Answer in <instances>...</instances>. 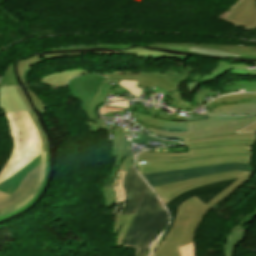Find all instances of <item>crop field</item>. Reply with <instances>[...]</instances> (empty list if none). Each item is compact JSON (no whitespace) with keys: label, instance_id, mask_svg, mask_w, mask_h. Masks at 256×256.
<instances>
[{"label":"crop field","instance_id":"obj_19","mask_svg":"<svg viewBox=\"0 0 256 256\" xmlns=\"http://www.w3.org/2000/svg\"><path fill=\"white\" fill-rule=\"evenodd\" d=\"M108 79H133L139 80V85L145 87H153L154 85L166 90L171 91L177 87L173 86L172 84L168 83L167 81L163 80L158 76H148V75H103Z\"/></svg>","mask_w":256,"mask_h":256},{"label":"crop field","instance_id":"obj_39","mask_svg":"<svg viewBox=\"0 0 256 256\" xmlns=\"http://www.w3.org/2000/svg\"><path fill=\"white\" fill-rule=\"evenodd\" d=\"M147 140L166 142V143H170V144H179L178 142H167V141H164V140H157L153 137H149V136H145V135H144L143 139H134V142L147 143Z\"/></svg>","mask_w":256,"mask_h":256},{"label":"crop field","instance_id":"obj_43","mask_svg":"<svg viewBox=\"0 0 256 256\" xmlns=\"http://www.w3.org/2000/svg\"><path fill=\"white\" fill-rule=\"evenodd\" d=\"M16 88H17V90H18V92H19V94H20V96H21L22 100H23V101H24V103L26 104V106H27L28 110H31L30 105H29V103H28V101H27L26 97L24 96V94H23V92H22L21 88H20L18 85L16 86Z\"/></svg>","mask_w":256,"mask_h":256},{"label":"crop field","instance_id":"obj_26","mask_svg":"<svg viewBox=\"0 0 256 256\" xmlns=\"http://www.w3.org/2000/svg\"><path fill=\"white\" fill-rule=\"evenodd\" d=\"M199 116L200 117H197V118L183 119V118L168 117V116H165V115L159 113L158 118L167 119V120L186 121L187 122V127H188V121L201 120V119H205V118L235 120V119L244 118V117H251V116H214V115H199ZM139 125H141L142 127H144L145 129H147L150 132L154 129L166 130V129H160V128H156V127H152V126H148V125H143V124H139ZM167 131L187 132V130H167Z\"/></svg>","mask_w":256,"mask_h":256},{"label":"crop field","instance_id":"obj_21","mask_svg":"<svg viewBox=\"0 0 256 256\" xmlns=\"http://www.w3.org/2000/svg\"><path fill=\"white\" fill-rule=\"evenodd\" d=\"M40 161V155H38L34 160H32L26 167H24L20 172L0 184V191L11 195L16 189L21 180L38 165ZM20 185V184H19Z\"/></svg>","mask_w":256,"mask_h":256},{"label":"crop field","instance_id":"obj_12","mask_svg":"<svg viewBox=\"0 0 256 256\" xmlns=\"http://www.w3.org/2000/svg\"><path fill=\"white\" fill-rule=\"evenodd\" d=\"M105 78L99 75H83L72 79L67 87L72 98H79L83 111H87L89 103L96 95L101 82Z\"/></svg>","mask_w":256,"mask_h":256},{"label":"crop field","instance_id":"obj_40","mask_svg":"<svg viewBox=\"0 0 256 256\" xmlns=\"http://www.w3.org/2000/svg\"><path fill=\"white\" fill-rule=\"evenodd\" d=\"M241 1L242 0H238L227 12H225L222 15L218 16V18L221 19V20H225L230 15V13L238 6V4Z\"/></svg>","mask_w":256,"mask_h":256},{"label":"crop field","instance_id":"obj_37","mask_svg":"<svg viewBox=\"0 0 256 256\" xmlns=\"http://www.w3.org/2000/svg\"><path fill=\"white\" fill-rule=\"evenodd\" d=\"M181 252V256H194V245L193 243L184 246L179 249Z\"/></svg>","mask_w":256,"mask_h":256},{"label":"crop field","instance_id":"obj_3","mask_svg":"<svg viewBox=\"0 0 256 256\" xmlns=\"http://www.w3.org/2000/svg\"><path fill=\"white\" fill-rule=\"evenodd\" d=\"M15 143L12 154L0 172V183L16 174L41 151L40 136L27 112L6 114Z\"/></svg>","mask_w":256,"mask_h":256},{"label":"crop field","instance_id":"obj_5","mask_svg":"<svg viewBox=\"0 0 256 256\" xmlns=\"http://www.w3.org/2000/svg\"><path fill=\"white\" fill-rule=\"evenodd\" d=\"M250 175H251V172H244V171L224 172V173L197 178L193 180L171 183V184L155 187L154 189L159 194V196L161 197L162 201L165 204L171 201L172 199H174L179 194L189 191L191 189L200 187L205 184L228 180V179H234L238 177V179L234 183H232L230 186H228L226 189H224L222 192H220L218 195H216L212 200H210L206 204L207 206L212 208L215 204H217L220 200L226 197L229 193L233 192L242 184H244L249 179Z\"/></svg>","mask_w":256,"mask_h":256},{"label":"crop field","instance_id":"obj_34","mask_svg":"<svg viewBox=\"0 0 256 256\" xmlns=\"http://www.w3.org/2000/svg\"><path fill=\"white\" fill-rule=\"evenodd\" d=\"M253 143L254 142H249V141H232V142L192 145V146H185V147H187V149H193V148H203V147H212V146H223V145H230V144H249V145H253Z\"/></svg>","mask_w":256,"mask_h":256},{"label":"crop field","instance_id":"obj_45","mask_svg":"<svg viewBox=\"0 0 256 256\" xmlns=\"http://www.w3.org/2000/svg\"><path fill=\"white\" fill-rule=\"evenodd\" d=\"M199 83L198 82H192V83H187L188 86V90L191 92L192 90L195 89L196 86H198Z\"/></svg>","mask_w":256,"mask_h":256},{"label":"crop field","instance_id":"obj_33","mask_svg":"<svg viewBox=\"0 0 256 256\" xmlns=\"http://www.w3.org/2000/svg\"><path fill=\"white\" fill-rule=\"evenodd\" d=\"M16 79L13 74V65L10 64L8 66V70L4 74L3 78L0 81V86H8V85H16Z\"/></svg>","mask_w":256,"mask_h":256},{"label":"crop field","instance_id":"obj_2","mask_svg":"<svg viewBox=\"0 0 256 256\" xmlns=\"http://www.w3.org/2000/svg\"><path fill=\"white\" fill-rule=\"evenodd\" d=\"M123 188L126 190L127 202L121 215L136 213L124 240L145 230V228L164 209L149 187L135 173L133 166L128 170Z\"/></svg>","mask_w":256,"mask_h":256},{"label":"crop field","instance_id":"obj_32","mask_svg":"<svg viewBox=\"0 0 256 256\" xmlns=\"http://www.w3.org/2000/svg\"><path fill=\"white\" fill-rule=\"evenodd\" d=\"M189 52L196 53V54L219 55V56H236V57L240 56L238 54H232V53H227V52L213 50V49L191 48Z\"/></svg>","mask_w":256,"mask_h":256},{"label":"crop field","instance_id":"obj_15","mask_svg":"<svg viewBox=\"0 0 256 256\" xmlns=\"http://www.w3.org/2000/svg\"><path fill=\"white\" fill-rule=\"evenodd\" d=\"M118 51L113 52H91V53H72V54H50V55H39L35 57L26 58L23 60H19L17 64V71L20 75L21 81L24 83V72L26 69L30 70V65H35L38 62L47 60V59H55V58H61V57H74L79 56L82 54H101V55H117ZM25 85V83H24ZM26 86V85H25ZM27 87V86H26ZM28 89V88H27ZM30 96L35 104V107L41 111H44V109L47 107L45 103H43L32 91L28 89Z\"/></svg>","mask_w":256,"mask_h":256},{"label":"crop field","instance_id":"obj_47","mask_svg":"<svg viewBox=\"0 0 256 256\" xmlns=\"http://www.w3.org/2000/svg\"><path fill=\"white\" fill-rule=\"evenodd\" d=\"M160 238V237H159ZM159 238L155 241V243L153 244L152 248H151V252H150V256H152V250L154 249L155 245L157 244Z\"/></svg>","mask_w":256,"mask_h":256},{"label":"crop field","instance_id":"obj_22","mask_svg":"<svg viewBox=\"0 0 256 256\" xmlns=\"http://www.w3.org/2000/svg\"><path fill=\"white\" fill-rule=\"evenodd\" d=\"M170 93L172 94V95H170V97H173L174 99L172 100L169 107L175 108V109H181L183 111H189V110L196 109V108L202 106L203 104H205L204 102H202L200 100L201 98L205 97L206 95H208L210 93L217 94L213 90H201L199 93L195 94L194 98H193V100L198 102V105L195 106V107H191V103L186 102V101H182V98H181V96L178 92V89H175Z\"/></svg>","mask_w":256,"mask_h":256},{"label":"crop field","instance_id":"obj_18","mask_svg":"<svg viewBox=\"0 0 256 256\" xmlns=\"http://www.w3.org/2000/svg\"><path fill=\"white\" fill-rule=\"evenodd\" d=\"M0 108L4 112L27 110L14 86L0 88Z\"/></svg>","mask_w":256,"mask_h":256},{"label":"crop field","instance_id":"obj_10","mask_svg":"<svg viewBox=\"0 0 256 256\" xmlns=\"http://www.w3.org/2000/svg\"><path fill=\"white\" fill-rule=\"evenodd\" d=\"M236 161H241L249 164L250 155L248 154L222 155L217 157L189 159V161L177 162V163H147V165H139L141 169L139 173L145 179L142 173L166 171V170H172V169H178V168L201 166V165H208V164H218V163H225V162H236Z\"/></svg>","mask_w":256,"mask_h":256},{"label":"crop field","instance_id":"obj_9","mask_svg":"<svg viewBox=\"0 0 256 256\" xmlns=\"http://www.w3.org/2000/svg\"><path fill=\"white\" fill-rule=\"evenodd\" d=\"M246 96V98H245ZM217 107L209 114L256 115V94H238L218 98L206 107Z\"/></svg>","mask_w":256,"mask_h":256},{"label":"crop field","instance_id":"obj_7","mask_svg":"<svg viewBox=\"0 0 256 256\" xmlns=\"http://www.w3.org/2000/svg\"><path fill=\"white\" fill-rule=\"evenodd\" d=\"M230 170L253 171V169L249 165L241 162H236V163H225V164H218V165H208V166H202V167L178 169V170L158 172V173H148V174H144V176L150 182L151 186L154 187V186H158L166 183L193 179L197 177H202V176L220 173L224 171H230Z\"/></svg>","mask_w":256,"mask_h":256},{"label":"crop field","instance_id":"obj_13","mask_svg":"<svg viewBox=\"0 0 256 256\" xmlns=\"http://www.w3.org/2000/svg\"><path fill=\"white\" fill-rule=\"evenodd\" d=\"M235 180L236 179L202 186L200 188H197V189L191 190L189 192H186V193L178 196L177 198H175L174 200H172L168 204H166L169 211L171 212L172 220H171V224L169 226V229L164 233L162 240L165 238L166 234L169 232V230L171 229V227L174 223L178 207L185 200H187L190 197L196 196L197 198H199L202 202H204L206 204L216 194H218L220 191H222L224 188H226L228 185H230Z\"/></svg>","mask_w":256,"mask_h":256},{"label":"crop field","instance_id":"obj_46","mask_svg":"<svg viewBox=\"0 0 256 256\" xmlns=\"http://www.w3.org/2000/svg\"><path fill=\"white\" fill-rule=\"evenodd\" d=\"M242 28L256 30V19H255V22L253 24H251L247 27H242Z\"/></svg>","mask_w":256,"mask_h":256},{"label":"crop field","instance_id":"obj_20","mask_svg":"<svg viewBox=\"0 0 256 256\" xmlns=\"http://www.w3.org/2000/svg\"><path fill=\"white\" fill-rule=\"evenodd\" d=\"M140 57H156V58H179L182 61V73H180L179 75L177 74L178 71H176L175 73L171 70L169 71H165V72H161V73H140V74H148V75H158L160 77H162L163 79L167 80L168 82L172 83L175 86H179L181 84L182 81H186L187 77H188V73L191 71H195V70H200V69H204V67L199 68V69H191L190 66L188 68H186V70H183V62L185 60V56H140Z\"/></svg>","mask_w":256,"mask_h":256},{"label":"crop field","instance_id":"obj_41","mask_svg":"<svg viewBox=\"0 0 256 256\" xmlns=\"http://www.w3.org/2000/svg\"><path fill=\"white\" fill-rule=\"evenodd\" d=\"M255 217H256V210L244 218V220L241 222V227L244 228V225L247 223H250Z\"/></svg>","mask_w":256,"mask_h":256},{"label":"crop field","instance_id":"obj_1","mask_svg":"<svg viewBox=\"0 0 256 256\" xmlns=\"http://www.w3.org/2000/svg\"><path fill=\"white\" fill-rule=\"evenodd\" d=\"M256 121V117L244 118L235 121L205 119L189 122L188 133H172L154 130L152 134L162 137L184 141L185 145L222 142L231 140L255 141L254 133H235L250 123Z\"/></svg>","mask_w":256,"mask_h":256},{"label":"crop field","instance_id":"obj_29","mask_svg":"<svg viewBox=\"0 0 256 256\" xmlns=\"http://www.w3.org/2000/svg\"><path fill=\"white\" fill-rule=\"evenodd\" d=\"M135 214L132 215H124V216H115V229L114 234H116L117 230L120 229L117 235V246H122L123 238L125 233L133 219Z\"/></svg>","mask_w":256,"mask_h":256},{"label":"crop field","instance_id":"obj_30","mask_svg":"<svg viewBox=\"0 0 256 256\" xmlns=\"http://www.w3.org/2000/svg\"><path fill=\"white\" fill-rule=\"evenodd\" d=\"M237 89H245L246 92H256V83H233L225 85L224 92L233 91Z\"/></svg>","mask_w":256,"mask_h":256},{"label":"crop field","instance_id":"obj_11","mask_svg":"<svg viewBox=\"0 0 256 256\" xmlns=\"http://www.w3.org/2000/svg\"><path fill=\"white\" fill-rule=\"evenodd\" d=\"M152 47H160L165 49L181 50L188 52L190 47H201V48H214L227 52L241 54L240 57L247 59H256V51H253V47L244 46H226V45H194V44H150ZM90 47H106V48H129L130 45H92L85 47H67V48H55L52 50H63V49H82Z\"/></svg>","mask_w":256,"mask_h":256},{"label":"crop field","instance_id":"obj_4","mask_svg":"<svg viewBox=\"0 0 256 256\" xmlns=\"http://www.w3.org/2000/svg\"><path fill=\"white\" fill-rule=\"evenodd\" d=\"M210 208L196 197L185 201L178 209L173 228L159 244L154 256H180L178 248L193 242L194 232Z\"/></svg>","mask_w":256,"mask_h":256},{"label":"crop field","instance_id":"obj_49","mask_svg":"<svg viewBox=\"0 0 256 256\" xmlns=\"http://www.w3.org/2000/svg\"><path fill=\"white\" fill-rule=\"evenodd\" d=\"M195 105H197V103H196L195 101H193V104H192V106H195Z\"/></svg>","mask_w":256,"mask_h":256},{"label":"crop field","instance_id":"obj_17","mask_svg":"<svg viewBox=\"0 0 256 256\" xmlns=\"http://www.w3.org/2000/svg\"><path fill=\"white\" fill-rule=\"evenodd\" d=\"M256 14V0H243L225 20L235 26L242 27L252 23Z\"/></svg>","mask_w":256,"mask_h":256},{"label":"crop field","instance_id":"obj_48","mask_svg":"<svg viewBox=\"0 0 256 256\" xmlns=\"http://www.w3.org/2000/svg\"><path fill=\"white\" fill-rule=\"evenodd\" d=\"M149 246H150V244H149ZM149 246H148V248H147V250H146V252H145L144 256H146V255H147V251H148V249H149Z\"/></svg>","mask_w":256,"mask_h":256},{"label":"crop field","instance_id":"obj_36","mask_svg":"<svg viewBox=\"0 0 256 256\" xmlns=\"http://www.w3.org/2000/svg\"><path fill=\"white\" fill-rule=\"evenodd\" d=\"M29 116L31 117L36 129L38 130L40 136H41V141H42V151H44L46 149V136L45 134L41 131L37 121H36V116L34 114V112H28ZM41 151V152H42Z\"/></svg>","mask_w":256,"mask_h":256},{"label":"crop field","instance_id":"obj_14","mask_svg":"<svg viewBox=\"0 0 256 256\" xmlns=\"http://www.w3.org/2000/svg\"><path fill=\"white\" fill-rule=\"evenodd\" d=\"M167 223L168 215L164 209L143 233L124 241L123 247L136 248L135 256H143L148 244L165 228Z\"/></svg>","mask_w":256,"mask_h":256},{"label":"crop field","instance_id":"obj_6","mask_svg":"<svg viewBox=\"0 0 256 256\" xmlns=\"http://www.w3.org/2000/svg\"><path fill=\"white\" fill-rule=\"evenodd\" d=\"M45 155V151L41 153L40 164L22 180L11 196L0 192V217L18 210L36 196L45 173Z\"/></svg>","mask_w":256,"mask_h":256},{"label":"crop field","instance_id":"obj_27","mask_svg":"<svg viewBox=\"0 0 256 256\" xmlns=\"http://www.w3.org/2000/svg\"><path fill=\"white\" fill-rule=\"evenodd\" d=\"M108 84L109 83L103 81V83L101 84V86L99 88L98 94L95 96V98L89 105L87 115L91 120L98 119V116H97L95 110L97 109V107L99 105H101L104 101H106V99L104 97L108 93V91L111 90V88H112V86H110ZM104 88H106V90H104Z\"/></svg>","mask_w":256,"mask_h":256},{"label":"crop field","instance_id":"obj_44","mask_svg":"<svg viewBox=\"0 0 256 256\" xmlns=\"http://www.w3.org/2000/svg\"><path fill=\"white\" fill-rule=\"evenodd\" d=\"M237 132H256V122L248 126L247 128Z\"/></svg>","mask_w":256,"mask_h":256},{"label":"crop field","instance_id":"obj_16","mask_svg":"<svg viewBox=\"0 0 256 256\" xmlns=\"http://www.w3.org/2000/svg\"><path fill=\"white\" fill-rule=\"evenodd\" d=\"M122 133H123V131L120 126L118 128H116L114 131V146H113L112 156L116 157V160H115L113 172L111 174L112 181H113V177H114L116 168H117L120 160L123 158V156L126 153H128L131 150L130 142H122ZM112 181L110 184H108V185L104 184L102 186V191L104 193V199H105L104 206L107 209L111 208V206L114 203V195H113V191L111 189Z\"/></svg>","mask_w":256,"mask_h":256},{"label":"crop field","instance_id":"obj_8","mask_svg":"<svg viewBox=\"0 0 256 256\" xmlns=\"http://www.w3.org/2000/svg\"><path fill=\"white\" fill-rule=\"evenodd\" d=\"M188 153H157L141 152L136 160L142 162H176L188 160V158H197L203 156H216L232 153H249L252 155L249 145H231L224 147H213L204 149L187 150Z\"/></svg>","mask_w":256,"mask_h":256},{"label":"crop field","instance_id":"obj_23","mask_svg":"<svg viewBox=\"0 0 256 256\" xmlns=\"http://www.w3.org/2000/svg\"><path fill=\"white\" fill-rule=\"evenodd\" d=\"M226 60L239 61V60H231V59H226ZM247 63H249V62H247ZM250 64H256V62H251ZM232 68H248V66L245 64H228L226 61L220 62L218 67H216V69L213 72L202 74V75H194L190 79V82L198 80L199 83L201 84L203 82L214 80V79H216L217 76L221 75L225 71L232 69Z\"/></svg>","mask_w":256,"mask_h":256},{"label":"crop field","instance_id":"obj_25","mask_svg":"<svg viewBox=\"0 0 256 256\" xmlns=\"http://www.w3.org/2000/svg\"><path fill=\"white\" fill-rule=\"evenodd\" d=\"M86 71H80V70H73L68 72H62L54 75H49L47 77H44L41 79L42 83L49 84L51 87L55 86H64L66 85L67 81L77 75L85 74Z\"/></svg>","mask_w":256,"mask_h":256},{"label":"crop field","instance_id":"obj_50","mask_svg":"<svg viewBox=\"0 0 256 256\" xmlns=\"http://www.w3.org/2000/svg\"><path fill=\"white\" fill-rule=\"evenodd\" d=\"M252 71H254V72H255V70H252Z\"/></svg>","mask_w":256,"mask_h":256},{"label":"crop field","instance_id":"obj_35","mask_svg":"<svg viewBox=\"0 0 256 256\" xmlns=\"http://www.w3.org/2000/svg\"><path fill=\"white\" fill-rule=\"evenodd\" d=\"M46 151H47V155H46V173H45L43 185H42L41 189L39 190L37 196L40 194V192L42 191V189H43V187H44V185H45V183H46V177H47V173H48V149H46ZM37 196H36V197H37ZM36 197H35L33 200H31L26 206L22 207L20 210L14 212V213H11V214H9V215H7V216L1 217L0 220H1V219H4V218H7V217H9V216H11V215H13V214H15V213H18V212L24 210L25 208H27L29 205L32 204V202L36 199Z\"/></svg>","mask_w":256,"mask_h":256},{"label":"crop field","instance_id":"obj_28","mask_svg":"<svg viewBox=\"0 0 256 256\" xmlns=\"http://www.w3.org/2000/svg\"><path fill=\"white\" fill-rule=\"evenodd\" d=\"M238 230H240L239 225L229 234L225 247V256H233V251L236 246L244 240L246 231L240 230V232H238Z\"/></svg>","mask_w":256,"mask_h":256},{"label":"crop field","instance_id":"obj_42","mask_svg":"<svg viewBox=\"0 0 256 256\" xmlns=\"http://www.w3.org/2000/svg\"><path fill=\"white\" fill-rule=\"evenodd\" d=\"M120 110H124V109H120V108H114V107H103L100 110L101 115L106 114V113H110L112 111H120Z\"/></svg>","mask_w":256,"mask_h":256},{"label":"crop field","instance_id":"obj_31","mask_svg":"<svg viewBox=\"0 0 256 256\" xmlns=\"http://www.w3.org/2000/svg\"><path fill=\"white\" fill-rule=\"evenodd\" d=\"M118 55H175V54L160 53V52L145 50L140 47H136L127 51H119Z\"/></svg>","mask_w":256,"mask_h":256},{"label":"crop field","instance_id":"obj_24","mask_svg":"<svg viewBox=\"0 0 256 256\" xmlns=\"http://www.w3.org/2000/svg\"><path fill=\"white\" fill-rule=\"evenodd\" d=\"M131 113H133L132 116H134V118L141 119L140 123L153 125L161 128H167V129H186L185 122L161 120V119L147 116L135 111H132Z\"/></svg>","mask_w":256,"mask_h":256},{"label":"crop field","instance_id":"obj_38","mask_svg":"<svg viewBox=\"0 0 256 256\" xmlns=\"http://www.w3.org/2000/svg\"><path fill=\"white\" fill-rule=\"evenodd\" d=\"M229 72L231 73V75H235V76H254V77H256V74L251 73L247 70L234 69V70H229Z\"/></svg>","mask_w":256,"mask_h":256}]
</instances>
